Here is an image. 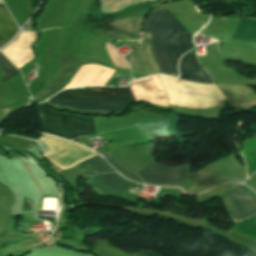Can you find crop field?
Wrapping results in <instances>:
<instances>
[{"instance_id": "9", "label": "crop field", "mask_w": 256, "mask_h": 256, "mask_svg": "<svg viewBox=\"0 0 256 256\" xmlns=\"http://www.w3.org/2000/svg\"><path fill=\"white\" fill-rule=\"evenodd\" d=\"M196 54H185L179 63L180 78L197 82L213 83L206 71L200 66L195 58Z\"/></svg>"}, {"instance_id": "6", "label": "crop field", "mask_w": 256, "mask_h": 256, "mask_svg": "<svg viewBox=\"0 0 256 256\" xmlns=\"http://www.w3.org/2000/svg\"><path fill=\"white\" fill-rule=\"evenodd\" d=\"M221 197L237 222L256 213V201L240 185Z\"/></svg>"}, {"instance_id": "8", "label": "crop field", "mask_w": 256, "mask_h": 256, "mask_svg": "<svg viewBox=\"0 0 256 256\" xmlns=\"http://www.w3.org/2000/svg\"><path fill=\"white\" fill-rule=\"evenodd\" d=\"M141 21L142 18L109 22L108 35L122 44L139 42Z\"/></svg>"}, {"instance_id": "11", "label": "crop field", "mask_w": 256, "mask_h": 256, "mask_svg": "<svg viewBox=\"0 0 256 256\" xmlns=\"http://www.w3.org/2000/svg\"><path fill=\"white\" fill-rule=\"evenodd\" d=\"M75 166L88 177L114 171L98 155Z\"/></svg>"}, {"instance_id": "3", "label": "crop field", "mask_w": 256, "mask_h": 256, "mask_svg": "<svg viewBox=\"0 0 256 256\" xmlns=\"http://www.w3.org/2000/svg\"><path fill=\"white\" fill-rule=\"evenodd\" d=\"M45 105L46 103L44 102L37 106L45 132L69 140L77 136L95 133L92 119H82L76 116L54 113L49 111Z\"/></svg>"}, {"instance_id": "2", "label": "crop field", "mask_w": 256, "mask_h": 256, "mask_svg": "<svg viewBox=\"0 0 256 256\" xmlns=\"http://www.w3.org/2000/svg\"><path fill=\"white\" fill-rule=\"evenodd\" d=\"M53 98H135L131 88L93 87L78 91H62ZM56 106L95 111H127L135 99H49Z\"/></svg>"}, {"instance_id": "14", "label": "crop field", "mask_w": 256, "mask_h": 256, "mask_svg": "<svg viewBox=\"0 0 256 256\" xmlns=\"http://www.w3.org/2000/svg\"><path fill=\"white\" fill-rule=\"evenodd\" d=\"M95 245L97 246V247H101V248H104V249H106V250H108V251H110V252H112V253H114V254H116V255H118V256H146V255H148V256H159V255H157V254H154V253H152V252H143L144 254H146V255H144L143 253H138V254H133V255H128V254H123L122 252H120V251H118V250H116L115 248H113L108 242H106V241H96V243H95Z\"/></svg>"}, {"instance_id": "7", "label": "crop field", "mask_w": 256, "mask_h": 256, "mask_svg": "<svg viewBox=\"0 0 256 256\" xmlns=\"http://www.w3.org/2000/svg\"><path fill=\"white\" fill-rule=\"evenodd\" d=\"M143 35L144 41L130 54V66L135 72L159 73L161 70L150 49L151 35L150 33H143Z\"/></svg>"}, {"instance_id": "4", "label": "crop field", "mask_w": 256, "mask_h": 256, "mask_svg": "<svg viewBox=\"0 0 256 256\" xmlns=\"http://www.w3.org/2000/svg\"><path fill=\"white\" fill-rule=\"evenodd\" d=\"M106 160L125 177L141 183H143V180L145 184L150 185L182 186L187 176V166L173 169L163 167L154 162L139 172L138 175L142 179L141 180L139 178L131 176L129 173L120 168L112 157L107 158Z\"/></svg>"}, {"instance_id": "10", "label": "crop field", "mask_w": 256, "mask_h": 256, "mask_svg": "<svg viewBox=\"0 0 256 256\" xmlns=\"http://www.w3.org/2000/svg\"><path fill=\"white\" fill-rule=\"evenodd\" d=\"M18 30L6 7H0V46L9 42Z\"/></svg>"}, {"instance_id": "13", "label": "crop field", "mask_w": 256, "mask_h": 256, "mask_svg": "<svg viewBox=\"0 0 256 256\" xmlns=\"http://www.w3.org/2000/svg\"><path fill=\"white\" fill-rule=\"evenodd\" d=\"M0 67L2 68L3 74L2 78L5 82L9 78L21 73L19 70H17L0 52Z\"/></svg>"}, {"instance_id": "5", "label": "crop field", "mask_w": 256, "mask_h": 256, "mask_svg": "<svg viewBox=\"0 0 256 256\" xmlns=\"http://www.w3.org/2000/svg\"><path fill=\"white\" fill-rule=\"evenodd\" d=\"M86 184L94 187L99 193L114 195L120 198L133 199L136 194L130 193L136 186L123 180L115 173L103 174L95 177L88 178ZM134 188L133 190H130ZM140 187H137L139 189ZM130 190V192H128Z\"/></svg>"}, {"instance_id": "1", "label": "crop field", "mask_w": 256, "mask_h": 256, "mask_svg": "<svg viewBox=\"0 0 256 256\" xmlns=\"http://www.w3.org/2000/svg\"><path fill=\"white\" fill-rule=\"evenodd\" d=\"M168 13L167 10L155 8L153 12L148 14L142 26V32H152L151 46L156 62L162 70L160 73L177 77V61L179 57L193 48L194 45L190 39L191 35ZM164 19L165 22L163 24ZM162 24L164 51L170 74L163 51Z\"/></svg>"}, {"instance_id": "12", "label": "crop field", "mask_w": 256, "mask_h": 256, "mask_svg": "<svg viewBox=\"0 0 256 256\" xmlns=\"http://www.w3.org/2000/svg\"><path fill=\"white\" fill-rule=\"evenodd\" d=\"M233 39L256 42V19L241 18Z\"/></svg>"}]
</instances>
